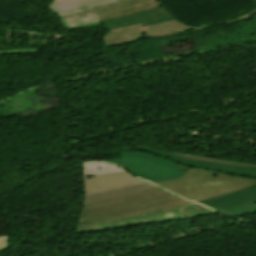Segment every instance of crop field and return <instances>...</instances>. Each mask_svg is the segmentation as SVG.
<instances>
[{
	"mask_svg": "<svg viewBox=\"0 0 256 256\" xmlns=\"http://www.w3.org/2000/svg\"><path fill=\"white\" fill-rule=\"evenodd\" d=\"M242 20H250V16L243 14L231 20L200 26V27H189L177 20H172L168 22H164L155 26L145 27L144 23L136 26L116 29L112 31H108L103 37V41L105 44H119L126 43L138 40L140 38H160L168 35H172L175 33H179L182 31L194 29L195 31L205 30L209 28H213L215 26L221 24L232 25L234 23L240 22Z\"/></svg>",
	"mask_w": 256,
	"mask_h": 256,
	"instance_id": "crop-field-5",
	"label": "crop field"
},
{
	"mask_svg": "<svg viewBox=\"0 0 256 256\" xmlns=\"http://www.w3.org/2000/svg\"><path fill=\"white\" fill-rule=\"evenodd\" d=\"M152 187H156V186L151 183L144 182V183L133 185V186L119 188L113 191L87 195V196H84V202L82 205L125 196L128 194L135 193V192L152 188Z\"/></svg>",
	"mask_w": 256,
	"mask_h": 256,
	"instance_id": "crop-field-11",
	"label": "crop field"
},
{
	"mask_svg": "<svg viewBox=\"0 0 256 256\" xmlns=\"http://www.w3.org/2000/svg\"><path fill=\"white\" fill-rule=\"evenodd\" d=\"M169 196H174V194L158 187L148 189L125 197L82 206L78 219L99 216L139 205H144L148 202Z\"/></svg>",
	"mask_w": 256,
	"mask_h": 256,
	"instance_id": "crop-field-7",
	"label": "crop field"
},
{
	"mask_svg": "<svg viewBox=\"0 0 256 256\" xmlns=\"http://www.w3.org/2000/svg\"><path fill=\"white\" fill-rule=\"evenodd\" d=\"M6 246H8L7 236L3 237V238H0V249L3 248V247H6Z\"/></svg>",
	"mask_w": 256,
	"mask_h": 256,
	"instance_id": "crop-field-15",
	"label": "crop field"
},
{
	"mask_svg": "<svg viewBox=\"0 0 256 256\" xmlns=\"http://www.w3.org/2000/svg\"><path fill=\"white\" fill-rule=\"evenodd\" d=\"M144 182L128 172L84 178V195Z\"/></svg>",
	"mask_w": 256,
	"mask_h": 256,
	"instance_id": "crop-field-10",
	"label": "crop field"
},
{
	"mask_svg": "<svg viewBox=\"0 0 256 256\" xmlns=\"http://www.w3.org/2000/svg\"><path fill=\"white\" fill-rule=\"evenodd\" d=\"M255 182L250 178L188 168L183 177L156 184L164 188L169 187L168 190L197 201L241 190L255 184Z\"/></svg>",
	"mask_w": 256,
	"mask_h": 256,
	"instance_id": "crop-field-2",
	"label": "crop field"
},
{
	"mask_svg": "<svg viewBox=\"0 0 256 256\" xmlns=\"http://www.w3.org/2000/svg\"><path fill=\"white\" fill-rule=\"evenodd\" d=\"M121 158L105 160L132 171L137 176L156 183L181 177L186 167L174 164L160 156L140 151L120 152Z\"/></svg>",
	"mask_w": 256,
	"mask_h": 256,
	"instance_id": "crop-field-4",
	"label": "crop field"
},
{
	"mask_svg": "<svg viewBox=\"0 0 256 256\" xmlns=\"http://www.w3.org/2000/svg\"><path fill=\"white\" fill-rule=\"evenodd\" d=\"M159 0H118L62 15H58L65 29L88 27L101 24L99 20L159 7Z\"/></svg>",
	"mask_w": 256,
	"mask_h": 256,
	"instance_id": "crop-field-3",
	"label": "crop field"
},
{
	"mask_svg": "<svg viewBox=\"0 0 256 256\" xmlns=\"http://www.w3.org/2000/svg\"><path fill=\"white\" fill-rule=\"evenodd\" d=\"M215 213L202 205L191 203L177 196L158 200L99 217L78 220L75 233L129 227L135 224L167 221Z\"/></svg>",
	"mask_w": 256,
	"mask_h": 256,
	"instance_id": "crop-field-1",
	"label": "crop field"
},
{
	"mask_svg": "<svg viewBox=\"0 0 256 256\" xmlns=\"http://www.w3.org/2000/svg\"><path fill=\"white\" fill-rule=\"evenodd\" d=\"M19 53H38V50H37V48L16 49V50H0L1 55H11V54H19Z\"/></svg>",
	"mask_w": 256,
	"mask_h": 256,
	"instance_id": "crop-field-14",
	"label": "crop field"
},
{
	"mask_svg": "<svg viewBox=\"0 0 256 256\" xmlns=\"http://www.w3.org/2000/svg\"><path fill=\"white\" fill-rule=\"evenodd\" d=\"M114 0H53L48 6L56 15Z\"/></svg>",
	"mask_w": 256,
	"mask_h": 256,
	"instance_id": "crop-field-12",
	"label": "crop field"
},
{
	"mask_svg": "<svg viewBox=\"0 0 256 256\" xmlns=\"http://www.w3.org/2000/svg\"><path fill=\"white\" fill-rule=\"evenodd\" d=\"M254 2L256 3V0H254ZM246 14L250 15L253 19L256 20V8L247 12Z\"/></svg>",
	"mask_w": 256,
	"mask_h": 256,
	"instance_id": "crop-field-16",
	"label": "crop field"
},
{
	"mask_svg": "<svg viewBox=\"0 0 256 256\" xmlns=\"http://www.w3.org/2000/svg\"><path fill=\"white\" fill-rule=\"evenodd\" d=\"M174 19L173 16L169 13V11L161 6L156 9L128 15L121 18H115L111 20L101 21L108 30L127 27L139 23L145 22L146 26L155 25L164 21Z\"/></svg>",
	"mask_w": 256,
	"mask_h": 256,
	"instance_id": "crop-field-9",
	"label": "crop field"
},
{
	"mask_svg": "<svg viewBox=\"0 0 256 256\" xmlns=\"http://www.w3.org/2000/svg\"><path fill=\"white\" fill-rule=\"evenodd\" d=\"M253 179L256 181V178ZM197 203L234 215L256 211V184L241 191L198 201Z\"/></svg>",
	"mask_w": 256,
	"mask_h": 256,
	"instance_id": "crop-field-8",
	"label": "crop field"
},
{
	"mask_svg": "<svg viewBox=\"0 0 256 256\" xmlns=\"http://www.w3.org/2000/svg\"><path fill=\"white\" fill-rule=\"evenodd\" d=\"M139 150L148 152V153L157 154L164 158L174 159L183 163L206 167V168H209L210 170L217 171V172L229 173V174L251 177V178L256 177V165H250V164H244V163H238V162H232V161H226V160H220V159H214V158H207V157H201V156H195V155H189V154H183V153H177V152H164V151H160V150H156L148 147H142V146H140Z\"/></svg>",
	"mask_w": 256,
	"mask_h": 256,
	"instance_id": "crop-field-6",
	"label": "crop field"
},
{
	"mask_svg": "<svg viewBox=\"0 0 256 256\" xmlns=\"http://www.w3.org/2000/svg\"><path fill=\"white\" fill-rule=\"evenodd\" d=\"M84 177H91L97 175H104L115 172L126 171L112 164L100 163V162H87L82 163Z\"/></svg>",
	"mask_w": 256,
	"mask_h": 256,
	"instance_id": "crop-field-13",
	"label": "crop field"
}]
</instances>
